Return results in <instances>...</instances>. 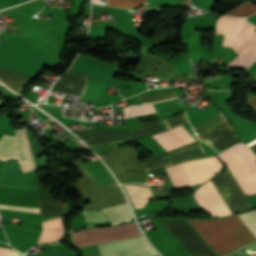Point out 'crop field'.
Returning a JSON list of instances; mask_svg holds the SVG:
<instances>
[{"label": "crop field", "mask_w": 256, "mask_h": 256, "mask_svg": "<svg viewBox=\"0 0 256 256\" xmlns=\"http://www.w3.org/2000/svg\"><path fill=\"white\" fill-rule=\"evenodd\" d=\"M240 217L256 237V211L240 214ZM240 217L237 215L230 218L215 220L235 249L255 240V237ZM189 222L194 226L217 256H222L234 250V247L214 220H189Z\"/></svg>", "instance_id": "obj_1"}, {"label": "crop field", "mask_w": 256, "mask_h": 256, "mask_svg": "<svg viewBox=\"0 0 256 256\" xmlns=\"http://www.w3.org/2000/svg\"><path fill=\"white\" fill-rule=\"evenodd\" d=\"M216 33L224 35L222 46L231 47L239 56L227 66L246 69L256 60V28L233 17L220 16Z\"/></svg>", "instance_id": "obj_2"}, {"label": "crop field", "mask_w": 256, "mask_h": 256, "mask_svg": "<svg viewBox=\"0 0 256 256\" xmlns=\"http://www.w3.org/2000/svg\"><path fill=\"white\" fill-rule=\"evenodd\" d=\"M230 168L246 195L256 193V158L244 144L218 154Z\"/></svg>", "instance_id": "obj_3"}, {"label": "crop field", "mask_w": 256, "mask_h": 256, "mask_svg": "<svg viewBox=\"0 0 256 256\" xmlns=\"http://www.w3.org/2000/svg\"><path fill=\"white\" fill-rule=\"evenodd\" d=\"M203 180L213 176L221 169V163L216 157L194 160ZM193 161L166 167V171L174 188L203 182Z\"/></svg>", "instance_id": "obj_4"}, {"label": "crop field", "mask_w": 256, "mask_h": 256, "mask_svg": "<svg viewBox=\"0 0 256 256\" xmlns=\"http://www.w3.org/2000/svg\"><path fill=\"white\" fill-rule=\"evenodd\" d=\"M140 235L141 233L134 222L106 229L93 228L73 233L70 235V240L73 246L80 248Z\"/></svg>", "instance_id": "obj_5"}, {"label": "crop field", "mask_w": 256, "mask_h": 256, "mask_svg": "<svg viewBox=\"0 0 256 256\" xmlns=\"http://www.w3.org/2000/svg\"><path fill=\"white\" fill-rule=\"evenodd\" d=\"M164 224L191 256H215L186 220Z\"/></svg>", "instance_id": "obj_6"}, {"label": "crop field", "mask_w": 256, "mask_h": 256, "mask_svg": "<svg viewBox=\"0 0 256 256\" xmlns=\"http://www.w3.org/2000/svg\"><path fill=\"white\" fill-rule=\"evenodd\" d=\"M102 256H149L156 252L143 236L98 245Z\"/></svg>", "instance_id": "obj_7"}, {"label": "crop field", "mask_w": 256, "mask_h": 256, "mask_svg": "<svg viewBox=\"0 0 256 256\" xmlns=\"http://www.w3.org/2000/svg\"><path fill=\"white\" fill-rule=\"evenodd\" d=\"M193 196L200 208L206 210L211 216L231 214L210 180L199 187Z\"/></svg>", "instance_id": "obj_8"}, {"label": "crop field", "mask_w": 256, "mask_h": 256, "mask_svg": "<svg viewBox=\"0 0 256 256\" xmlns=\"http://www.w3.org/2000/svg\"><path fill=\"white\" fill-rule=\"evenodd\" d=\"M197 137L211 146L218 144L222 151L241 142L228 120Z\"/></svg>", "instance_id": "obj_9"}, {"label": "crop field", "mask_w": 256, "mask_h": 256, "mask_svg": "<svg viewBox=\"0 0 256 256\" xmlns=\"http://www.w3.org/2000/svg\"><path fill=\"white\" fill-rule=\"evenodd\" d=\"M16 137L3 135L0 140V159H18V162H25L26 156L19 130L15 131Z\"/></svg>", "instance_id": "obj_10"}, {"label": "crop field", "mask_w": 256, "mask_h": 256, "mask_svg": "<svg viewBox=\"0 0 256 256\" xmlns=\"http://www.w3.org/2000/svg\"><path fill=\"white\" fill-rule=\"evenodd\" d=\"M132 130H90L78 132L89 145L104 144L118 140L130 139Z\"/></svg>", "instance_id": "obj_11"}, {"label": "crop field", "mask_w": 256, "mask_h": 256, "mask_svg": "<svg viewBox=\"0 0 256 256\" xmlns=\"http://www.w3.org/2000/svg\"><path fill=\"white\" fill-rule=\"evenodd\" d=\"M86 76L85 74L67 71L51 91L79 96Z\"/></svg>", "instance_id": "obj_12"}, {"label": "crop field", "mask_w": 256, "mask_h": 256, "mask_svg": "<svg viewBox=\"0 0 256 256\" xmlns=\"http://www.w3.org/2000/svg\"><path fill=\"white\" fill-rule=\"evenodd\" d=\"M107 86L108 82L96 79L88 75L80 101L101 103Z\"/></svg>", "instance_id": "obj_13"}, {"label": "crop field", "mask_w": 256, "mask_h": 256, "mask_svg": "<svg viewBox=\"0 0 256 256\" xmlns=\"http://www.w3.org/2000/svg\"><path fill=\"white\" fill-rule=\"evenodd\" d=\"M95 186L114 182L106 168L99 160L79 164Z\"/></svg>", "instance_id": "obj_14"}, {"label": "crop field", "mask_w": 256, "mask_h": 256, "mask_svg": "<svg viewBox=\"0 0 256 256\" xmlns=\"http://www.w3.org/2000/svg\"><path fill=\"white\" fill-rule=\"evenodd\" d=\"M42 224L44 229L37 243L58 240L65 233L62 228V218H53V219L45 220V221H42Z\"/></svg>", "instance_id": "obj_15"}, {"label": "crop field", "mask_w": 256, "mask_h": 256, "mask_svg": "<svg viewBox=\"0 0 256 256\" xmlns=\"http://www.w3.org/2000/svg\"><path fill=\"white\" fill-rule=\"evenodd\" d=\"M0 80L12 88L14 91L20 93L22 86L32 80V77L21 75L0 68Z\"/></svg>", "instance_id": "obj_16"}, {"label": "crop field", "mask_w": 256, "mask_h": 256, "mask_svg": "<svg viewBox=\"0 0 256 256\" xmlns=\"http://www.w3.org/2000/svg\"><path fill=\"white\" fill-rule=\"evenodd\" d=\"M127 190L135 208L143 207L144 204L151 197L152 193L149 187L137 186V185H127L124 186Z\"/></svg>", "instance_id": "obj_17"}, {"label": "crop field", "mask_w": 256, "mask_h": 256, "mask_svg": "<svg viewBox=\"0 0 256 256\" xmlns=\"http://www.w3.org/2000/svg\"><path fill=\"white\" fill-rule=\"evenodd\" d=\"M112 224L125 222L132 218L127 203L102 209Z\"/></svg>", "instance_id": "obj_18"}, {"label": "crop field", "mask_w": 256, "mask_h": 256, "mask_svg": "<svg viewBox=\"0 0 256 256\" xmlns=\"http://www.w3.org/2000/svg\"><path fill=\"white\" fill-rule=\"evenodd\" d=\"M153 136L167 151L186 145V143L180 137H178L171 129L159 132L157 134H154Z\"/></svg>", "instance_id": "obj_19"}, {"label": "crop field", "mask_w": 256, "mask_h": 256, "mask_svg": "<svg viewBox=\"0 0 256 256\" xmlns=\"http://www.w3.org/2000/svg\"><path fill=\"white\" fill-rule=\"evenodd\" d=\"M20 131H21V135H22V139H23V143H24V147H25L28 162L21 163L19 165H20L23 173H25V172H28V171H31V170H36V164H35L33 154H32L28 139H27L25 129L23 128Z\"/></svg>", "instance_id": "obj_20"}, {"label": "crop field", "mask_w": 256, "mask_h": 256, "mask_svg": "<svg viewBox=\"0 0 256 256\" xmlns=\"http://www.w3.org/2000/svg\"><path fill=\"white\" fill-rule=\"evenodd\" d=\"M161 130H164V127L161 124L160 120H157L154 122L146 123L142 125V127L136 130H133L131 136H132V139H134V138H138V137L148 135L154 132H158Z\"/></svg>", "instance_id": "obj_21"}, {"label": "crop field", "mask_w": 256, "mask_h": 256, "mask_svg": "<svg viewBox=\"0 0 256 256\" xmlns=\"http://www.w3.org/2000/svg\"><path fill=\"white\" fill-rule=\"evenodd\" d=\"M226 120L225 117L222 115V113H218L215 116H213L212 118L208 119L207 121L193 127V130L197 135H199L200 133L218 125L219 123H221L222 121Z\"/></svg>", "instance_id": "obj_22"}, {"label": "crop field", "mask_w": 256, "mask_h": 256, "mask_svg": "<svg viewBox=\"0 0 256 256\" xmlns=\"http://www.w3.org/2000/svg\"><path fill=\"white\" fill-rule=\"evenodd\" d=\"M204 156H205L204 152L202 151L201 147H199V148L192 149L180 154L170 156V159L173 162V164H175L181 161L198 158V157H204Z\"/></svg>", "instance_id": "obj_23"}, {"label": "crop field", "mask_w": 256, "mask_h": 256, "mask_svg": "<svg viewBox=\"0 0 256 256\" xmlns=\"http://www.w3.org/2000/svg\"><path fill=\"white\" fill-rule=\"evenodd\" d=\"M175 95H176V93L174 92V90H171V91H165V92H159V93H153V94H147V95L139 96V99H140L141 102H144V101H149V100H154V99H159V98H165V97H170V96H175ZM176 97H178V96L165 98V99H160V100L149 101V102H144L143 104L155 103V102L168 100V99H172V98H176Z\"/></svg>", "instance_id": "obj_24"}, {"label": "crop field", "mask_w": 256, "mask_h": 256, "mask_svg": "<svg viewBox=\"0 0 256 256\" xmlns=\"http://www.w3.org/2000/svg\"><path fill=\"white\" fill-rule=\"evenodd\" d=\"M256 6V5H255ZM248 1L238 6L236 9L226 13V15L246 17L256 12V7Z\"/></svg>", "instance_id": "obj_25"}, {"label": "crop field", "mask_w": 256, "mask_h": 256, "mask_svg": "<svg viewBox=\"0 0 256 256\" xmlns=\"http://www.w3.org/2000/svg\"><path fill=\"white\" fill-rule=\"evenodd\" d=\"M105 4L130 9L148 3L147 0H106Z\"/></svg>", "instance_id": "obj_26"}, {"label": "crop field", "mask_w": 256, "mask_h": 256, "mask_svg": "<svg viewBox=\"0 0 256 256\" xmlns=\"http://www.w3.org/2000/svg\"><path fill=\"white\" fill-rule=\"evenodd\" d=\"M185 122H187V119H186L184 113L180 114L178 116L163 120V123H164L166 129L176 127V126L181 125Z\"/></svg>", "instance_id": "obj_27"}, {"label": "crop field", "mask_w": 256, "mask_h": 256, "mask_svg": "<svg viewBox=\"0 0 256 256\" xmlns=\"http://www.w3.org/2000/svg\"><path fill=\"white\" fill-rule=\"evenodd\" d=\"M87 222L107 221L101 211H83Z\"/></svg>", "instance_id": "obj_28"}, {"label": "crop field", "mask_w": 256, "mask_h": 256, "mask_svg": "<svg viewBox=\"0 0 256 256\" xmlns=\"http://www.w3.org/2000/svg\"><path fill=\"white\" fill-rule=\"evenodd\" d=\"M1 209L14 210V211H24V212H37L39 213V208H29V207H15V206H4L0 205Z\"/></svg>", "instance_id": "obj_29"}, {"label": "crop field", "mask_w": 256, "mask_h": 256, "mask_svg": "<svg viewBox=\"0 0 256 256\" xmlns=\"http://www.w3.org/2000/svg\"><path fill=\"white\" fill-rule=\"evenodd\" d=\"M249 106L256 111V96H248Z\"/></svg>", "instance_id": "obj_30"}, {"label": "crop field", "mask_w": 256, "mask_h": 256, "mask_svg": "<svg viewBox=\"0 0 256 256\" xmlns=\"http://www.w3.org/2000/svg\"><path fill=\"white\" fill-rule=\"evenodd\" d=\"M8 254L9 256H23L22 254L16 252L14 249L8 248Z\"/></svg>", "instance_id": "obj_31"}, {"label": "crop field", "mask_w": 256, "mask_h": 256, "mask_svg": "<svg viewBox=\"0 0 256 256\" xmlns=\"http://www.w3.org/2000/svg\"><path fill=\"white\" fill-rule=\"evenodd\" d=\"M247 250H252V251H256V243L252 244L251 246L245 248Z\"/></svg>", "instance_id": "obj_32"}]
</instances>
